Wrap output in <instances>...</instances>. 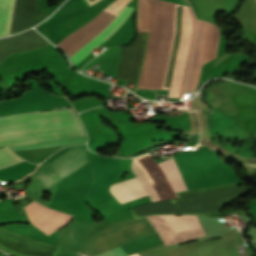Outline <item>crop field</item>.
<instances>
[{"instance_id":"obj_1","label":"crop field","mask_w":256,"mask_h":256,"mask_svg":"<svg viewBox=\"0 0 256 256\" xmlns=\"http://www.w3.org/2000/svg\"><path fill=\"white\" fill-rule=\"evenodd\" d=\"M80 125L72 108L0 117V136ZM85 135L81 126L0 137V146ZM24 161L8 146L0 149V169Z\"/></svg>"},{"instance_id":"obj_2","label":"crop field","mask_w":256,"mask_h":256,"mask_svg":"<svg viewBox=\"0 0 256 256\" xmlns=\"http://www.w3.org/2000/svg\"><path fill=\"white\" fill-rule=\"evenodd\" d=\"M131 8L124 7L123 10L116 15L103 10L95 19L88 24L78 29L74 33L67 36L58 45L69 55V57L81 48L85 43L92 39L97 33H99L105 26H107L113 19V21L104 28L98 35L90 40L86 45L79 49L70 58L74 65L80 62L85 56L93 51L98 45H100L105 39L113 34L119 25L128 16Z\"/></svg>"},{"instance_id":"obj_3","label":"crop field","mask_w":256,"mask_h":256,"mask_svg":"<svg viewBox=\"0 0 256 256\" xmlns=\"http://www.w3.org/2000/svg\"><path fill=\"white\" fill-rule=\"evenodd\" d=\"M159 165L168 180L170 181L171 185L173 186L175 192L187 190V187L174 163L173 158L161 162L159 163ZM131 170L135 177L138 179V181L141 183V185L144 187L152 201L159 200L142 169L139 167L134 159L131 164ZM136 178L128 181H122L118 184L111 186L110 191L120 204L147 195L145 190L136 180Z\"/></svg>"},{"instance_id":"obj_4","label":"crop field","mask_w":256,"mask_h":256,"mask_svg":"<svg viewBox=\"0 0 256 256\" xmlns=\"http://www.w3.org/2000/svg\"><path fill=\"white\" fill-rule=\"evenodd\" d=\"M147 219L165 245L205 235L196 215H157Z\"/></svg>"},{"instance_id":"obj_5","label":"crop field","mask_w":256,"mask_h":256,"mask_svg":"<svg viewBox=\"0 0 256 256\" xmlns=\"http://www.w3.org/2000/svg\"><path fill=\"white\" fill-rule=\"evenodd\" d=\"M63 97H55L41 89L25 92L21 99L0 102V115L68 106Z\"/></svg>"},{"instance_id":"obj_6","label":"crop field","mask_w":256,"mask_h":256,"mask_svg":"<svg viewBox=\"0 0 256 256\" xmlns=\"http://www.w3.org/2000/svg\"><path fill=\"white\" fill-rule=\"evenodd\" d=\"M24 209L31 223L48 235L64 226L72 217L67 214L51 210L35 201L25 206Z\"/></svg>"},{"instance_id":"obj_7","label":"crop field","mask_w":256,"mask_h":256,"mask_svg":"<svg viewBox=\"0 0 256 256\" xmlns=\"http://www.w3.org/2000/svg\"><path fill=\"white\" fill-rule=\"evenodd\" d=\"M47 44L49 43L33 30L13 37L0 39V62L12 53L37 49Z\"/></svg>"},{"instance_id":"obj_8","label":"crop field","mask_w":256,"mask_h":256,"mask_svg":"<svg viewBox=\"0 0 256 256\" xmlns=\"http://www.w3.org/2000/svg\"><path fill=\"white\" fill-rule=\"evenodd\" d=\"M87 162V149L75 147L49 165L63 179Z\"/></svg>"},{"instance_id":"obj_9","label":"crop field","mask_w":256,"mask_h":256,"mask_svg":"<svg viewBox=\"0 0 256 256\" xmlns=\"http://www.w3.org/2000/svg\"><path fill=\"white\" fill-rule=\"evenodd\" d=\"M35 6L36 0L15 1L10 35L32 26Z\"/></svg>"},{"instance_id":"obj_10","label":"crop field","mask_w":256,"mask_h":256,"mask_svg":"<svg viewBox=\"0 0 256 256\" xmlns=\"http://www.w3.org/2000/svg\"><path fill=\"white\" fill-rule=\"evenodd\" d=\"M14 1L0 0V37L9 35Z\"/></svg>"},{"instance_id":"obj_11","label":"crop field","mask_w":256,"mask_h":256,"mask_svg":"<svg viewBox=\"0 0 256 256\" xmlns=\"http://www.w3.org/2000/svg\"><path fill=\"white\" fill-rule=\"evenodd\" d=\"M86 141L85 136L10 146L14 151Z\"/></svg>"},{"instance_id":"obj_12","label":"crop field","mask_w":256,"mask_h":256,"mask_svg":"<svg viewBox=\"0 0 256 256\" xmlns=\"http://www.w3.org/2000/svg\"><path fill=\"white\" fill-rule=\"evenodd\" d=\"M35 180H37L43 187L47 190L52 187L55 183L62 180L53 170L47 165L35 175L32 176Z\"/></svg>"},{"instance_id":"obj_13","label":"crop field","mask_w":256,"mask_h":256,"mask_svg":"<svg viewBox=\"0 0 256 256\" xmlns=\"http://www.w3.org/2000/svg\"><path fill=\"white\" fill-rule=\"evenodd\" d=\"M203 23H204V21L198 20L197 39H196L195 49H194L193 58H192V62H191V68H190L188 83H187V87H186V92L191 90V87H192L193 76H194V71H195V66H196V60H197V55H198V50H199V44H200V39H201V34H202Z\"/></svg>"},{"instance_id":"obj_14","label":"crop field","mask_w":256,"mask_h":256,"mask_svg":"<svg viewBox=\"0 0 256 256\" xmlns=\"http://www.w3.org/2000/svg\"><path fill=\"white\" fill-rule=\"evenodd\" d=\"M182 1H183L184 4H186V5H189V4H190V3L188 4V2H187L186 0H182Z\"/></svg>"},{"instance_id":"obj_15","label":"crop field","mask_w":256,"mask_h":256,"mask_svg":"<svg viewBox=\"0 0 256 256\" xmlns=\"http://www.w3.org/2000/svg\"><path fill=\"white\" fill-rule=\"evenodd\" d=\"M183 91H184V89H183ZM183 91H182V95H181V97L183 96Z\"/></svg>"}]
</instances>
